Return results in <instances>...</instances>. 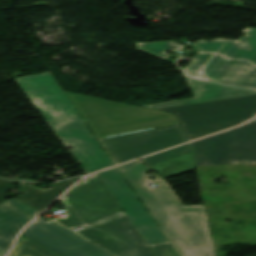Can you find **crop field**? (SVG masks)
Wrapping results in <instances>:
<instances>
[{"mask_svg": "<svg viewBox=\"0 0 256 256\" xmlns=\"http://www.w3.org/2000/svg\"><path fill=\"white\" fill-rule=\"evenodd\" d=\"M66 217L55 221L73 229L113 256H154L98 173L59 199Z\"/></svg>", "mask_w": 256, "mask_h": 256, "instance_id": "crop-field-1", "label": "crop field"}, {"mask_svg": "<svg viewBox=\"0 0 256 256\" xmlns=\"http://www.w3.org/2000/svg\"><path fill=\"white\" fill-rule=\"evenodd\" d=\"M118 168L179 256H216L204 206H183L163 179L152 188L139 160Z\"/></svg>", "mask_w": 256, "mask_h": 256, "instance_id": "crop-field-2", "label": "crop field"}, {"mask_svg": "<svg viewBox=\"0 0 256 256\" xmlns=\"http://www.w3.org/2000/svg\"><path fill=\"white\" fill-rule=\"evenodd\" d=\"M70 150L86 174L112 166L104 150L49 74L14 79Z\"/></svg>", "mask_w": 256, "mask_h": 256, "instance_id": "crop-field-3", "label": "crop field"}, {"mask_svg": "<svg viewBox=\"0 0 256 256\" xmlns=\"http://www.w3.org/2000/svg\"><path fill=\"white\" fill-rule=\"evenodd\" d=\"M237 41L200 40L192 45L198 53L183 68L187 77L256 89V28L242 30Z\"/></svg>", "mask_w": 256, "mask_h": 256, "instance_id": "crop-field-4", "label": "crop field"}, {"mask_svg": "<svg viewBox=\"0 0 256 256\" xmlns=\"http://www.w3.org/2000/svg\"><path fill=\"white\" fill-rule=\"evenodd\" d=\"M97 139L177 124L174 114L66 92Z\"/></svg>", "mask_w": 256, "mask_h": 256, "instance_id": "crop-field-5", "label": "crop field"}, {"mask_svg": "<svg viewBox=\"0 0 256 256\" xmlns=\"http://www.w3.org/2000/svg\"><path fill=\"white\" fill-rule=\"evenodd\" d=\"M158 110L174 113L191 141L254 117L256 96Z\"/></svg>", "mask_w": 256, "mask_h": 256, "instance_id": "crop-field-6", "label": "crop field"}, {"mask_svg": "<svg viewBox=\"0 0 256 256\" xmlns=\"http://www.w3.org/2000/svg\"><path fill=\"white\" fill-rule=\"evenodd\" d=\"M191 144L197 165L256 162V119Z\"/></svg>", "mask_w": 256, "mask_h": 256, "instance_id": "crop-field-7", "label": "crop field"}, {"mask_svg": "<svg viewBox=\"0 0 256 256\" xmlns=\"http://www.w3.org/2000/svg\"><path fill=\"white\" fill-rule=\"evenodd\" d=\"M117 164L139 158L185 142L188 139L180 124L154 130L102 139Z\"/></svg>", "mask_w": 256, "mask_h": 256, "instance_id": "crop-field-8", "label": "crop field"}, {"mask_svg": "<svg viewBox=\"0 0 256 256\" xmlns=\"http://www.w3.org/2000/svg\"><path fill=\"white\" fill-rule=\"evenodd\" d=\"M22 234L61 256H111L58 223L40 217Z\"/></svg>", "mask_w": 256, "mask_h": 256, "instance_id": "crop-field-9", "label": "crop field"}, {"mask_svg": "<svg viewBox=\"0 0 256 256\" xmlns=\"http://www.w3.org/2000/svg\"><path fill=\"white\" fill-rule=\"evenodd\" d=\"M106 185L125 210L147 244L165 241V237L136 198L116 168L99 172Z\"/></svg>", "mask_w": 256, "mask_h": 256, "instance_id": "crop-field-10", "label": "crop field"}, {"mask_svg": "<svg viewBox=\"0 0 256 256\" xmlns=\"http://www.w3.org/2000/svg\"><path fill=\"white\" fill-rule=\"evenodd\" d=\"M195 98L145 105L143 107L158 109L207 101H215L243 96L256 95L255 90L221 86L191 79H186Z\"/></svg>", "mask_w": 256, "mask_h": 256, "instance_id": "crop-field-11", "label": "crop field"}, {"mask_svg": "<svg viewBox=\"0 0 256 256\" xmlns=\"http://www.w3.org/2000/svg\"><path fill=\"white\" fill-rule=\"evenodd\" d=\"M143 160L163 179L196 168L190 143L143 158Z\"/></svg>", "mask_w": 256, "mask_h": 256, "instance_id": "crop-field-12", "label": "crop field"}, {"mask_svg": "<svg viewBox=\"0 0 256 256\" xmlns=\"http://www.w3.org/2000/svg\"><path fill=\"white\" fill-rule=\"evenodd\" d=\"M32 218L6 202L0 204V256L6 255L17 233Z\"/></svg>", "mask_w": 256, "mask_h": 256, "instance_id": "crop-field-13", "label": "crop field"}, {"mask_svg": "<svg viewBox=\"0 0 256 256\" xmlns=\"http://www.w3.org/2000/svg\"><path fill=\"white\" fill-rule=\"evenodd\" d=\"M80 178L82 177L57 183L52 185L51 189H37L29 183H24L21 196L18 199L41 212Z\"/></svg>", "mask_w": 256, "mask_h": 256, "instance_id": "crop-field-14", "label": "crop field"}, {"mask_svg": "<svg viewBox=\"0 0 256 256\" xmlns=\"http://www.w3.org/2000/svg\"><path fill=\"white\" fill-rule=\"evenodd\" d=\"M183 46L184 45L177 44L172 41L155 42V43H151V44L136 43V50L167 61L168 56L163 55V54L168 49L178 51Z\"/></svg>", "mask_w": 256, "mask_h": 256, "instance_id": "crop-field-15", "label": "crop field"}, {"mask_svg": "<svg viewBox=\"0 0 256 256\" xmlns=\"http://www.w3.org/2000/svg\"><path fill=\"white\" fill-rule=\"evenodd\" d=\"M10 256H57L43 247L29 241L25 237L18 241Z\"/></svg>", "mask_w": 256, "mask_h": 256, "instance_id": "crop-field-16", "label": "crop field"}, {"mask_svg": "<svg viewBox=\"0 0 256 256\" xmlns=\"http://www.w3.org/2000/svg\"><path fill=\"white\" fill-rule=\"evenodd\" d=\"M150 247L154 250L157 256H178L169 242L151 245Z\"/></svg>", "mask_w": 256, "mask_h": 256, "instance_id": "crop-field-17", "label": "crop field"}, {"mask_svg": "<svg viewBox=\"0 0 256 256\" xmlns=\"http://www.w3.org/2000/svg\"><path fill=\"white\" fill-rule=\"evenodd\" d=\"M14 183H21L13 180L0 179V203L6 201L8 191L13 186Z\"/></svg>", "mask_w": 256, "mask_h": 256, "instance_id": "crop-field-18", "label": "crop field"}, {"mask_svg": "<svg viewBox=\"0 0 256 256\" xmlns=\"http://www.w3.org/2000/svg\"><path fill=\"white\" fill-rule=\"evenodd\" d=\"M8 203H10L11 205L17 207L18 209L26 212L27 214L31 215V216H36L38 213V211L34 210L33 208L29 207L28 205L18 201L17 199H12L10 201H8Z\"/></svg>", "mask_w": 256, "mask_h": 256, "instance_id": "crop-field-19", "label": "crop field"}]
</instances>
